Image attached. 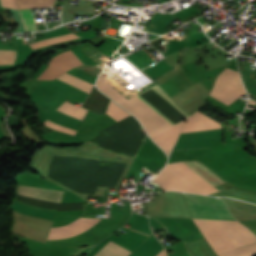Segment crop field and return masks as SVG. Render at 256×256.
I'll return each mask as SVG.
<instances>
[{"label":"crop field","mask_w":256,"mask_h":256,"mask_svg":"<svg viewBox=\"0 0 256 256\" xmlns=\"http://www.w3.org/2000/svg\"><path fill=\"white\" fill-rule=\"evenodd\" d=\"M73 38H77V36L70 34V35H66V36H61V37H56V38H52V39L39 41V42L30 44V45L32 48H36V47H40V46H44V45H48V44H52V43H57V42H61V41H65V40H69V39H73Z\"/></svg>","instance_id":"17"},{"label":"crop field","mask_w":256,"mask_h":256,"mask_svg":"<svg viewBox=\"0 0 256 256\" xmlns=\"http://www.w3.org/2000/svg\"><path fill=\"white\" fill-rule=\"evenodd\" d=\"M184 121L179 123L178 125L152 137V139L157 142L167 153L171 150L172 146L174 145L181 127Z\"/></svg>","instance_id":"10"},{"label":"crop field","mask_w":256,"mask_h":256,"mask_svg":"<svg viewBox=\"0 0 256 256\" xmlns=\"http://www.w3.org/2000/svg\"><path fill=\"white\" fill-rule=\"evenodd\" d=\"M163 249L162 245L156 240L153 234L135 249L129 256H155Z\"/></svg>","instance_id":"11"},{"label":"crop field","mask_w":256,"mask_h":256,"mask_svg":"<svg viewBox=\"0 0 256 256\" xmlns=\"http://www.w3.org/2000/svg\"><path fill=\"white\" fill-rule=\"evenodd\" d=\"M49 64L37 79H54L82 63L71 51H68L52 58Z\"/></svg>","instance_id":"6"},{"label":"crop field","mask_w":256,"mask_h":256,"mask_svg":"<svg viewBox=\"0 0 256 256\" xmlns=\"http://www.w3.org/2000/svg\"><path fill=\"white\" fill-rule=\"evenodd\" d=\"M244 93L246 92L242 87L238 72L226 68L216 78L209 95L228 105Z\"/></svg>","instance_id":"3"},{"label":"crop field","mask_w":256,"mask_h":256,"mask_svg":"<svg viewBox=\"0 0 256 256\" xmlns=\"http://www.w3.org/2000/svg\"><path fill=\"white\" fill-rule=\"evenodd\" d=\"M10 208L12 210H15V211L27 214V215H31V216H35V217H39V218H43V219H49V220H52L56 213L53 211H47V210L29 207V206L23 205V204L15 201V200L12 202Z\"/></svg>","instance_id":"12"},{"label":"crop field","mask_w":256,"mask_h":256,"mask_svg":"<svg viewBox=\"0 0 256 256\" xmlns=\"http://www.w3.org/2000/svg\"><path fill=\"white\" fill-rule=\"evenodd\" d=\"M100 77L109 83L113 88H115L119 93H121L125 98H127L131 103H133L137 108H139L143 113H145L149 118H151L155 123H157L161 128L166 130L172 127L146 104H144L140 99H138L123 84L112 77L105 69ZM100 77L97 81V87L102 92L132 112L141 121L151 137L163 131V129H161L157 124H155L151 119H149L145 114H143L139 109H137L133 104H131L127 99H125Z\"/></svg>","instance_id":"1"},{"label":"crop field","mask_w":256,"mask_h":256,"mask_svg":"<svg viewBox=\"0 0 256 256\" xmlns=\"http://www.w3.org/2000/svg\"><path fill=\"white\" fill-rule=\"evenodd\" d=\"M216 254L234 249L216 220L193 219Z\"/></svg>","instance_id":"5"},{"label":"crop field","mask_w":256,"mask_h":256,"mask_svg":"<svg viewBox=\"0 0 256 256\" xmlns=\"http://www.w3.org/2000/svg\"><path fill=\"white\" fill-rule=\"evenodd\" d=\"M164 253H165V251H164ZM164 253H163V251H161L157 256H164ZM165 256H166V253H165Z\"/></svg>","instance_id":"21"},{"label":"crop field","mask_w":256,"mask_h":256,"mask_svg":"<svg viewBox=\"0 0 256 256\" xmlns=\"http://www.w3.org/2000/svg\"><path fill=\"white\" fill-rule=\"evenodd\" d=\"M58 79L68 83V84H71L77 88H80L86 92H90L91 88H92V84L88 83V82H85L81 79H78L74 76H71L67 73L63 74L62 76H60Z\"/></svg>","instance_id":"15"},{"label":"crop field","mask_w":256,"mask_h":256,"mask_svg":"<svg viewBox=\"0 0 256 256\" xmlns=\"http://www.w3.org/2000/svg\"><path fill=\"white\" fill-rule=\"evenodd\" d=\"M165 190L207 193L217 188L185 162L166 165L155 178ZM219 192L213 191L205 195Z\"/></svg>","instance_id":"2"},{"label":"crop field","mask_w":256,"mask_h":256,"mask_svg":"<svg viewBox=\"0 0 256 256\" xmlns=\"http://www.w3.org/2000/svg\"><path fill=\"white\" fill-rule=\"evenodd\" d=\"M106 114L112 116L117 121L129 115V113L124 111L122 108L116 105L113 101H110Z\"/></svg>","instance_id":"16"},{"label":"crop field","mask_w":256,"mask_h":256,"mask_svg":"<svg viewBox=\"0 0 256 256\" xmlns=\"http://www.w3.org/2000/svg\"><path fill=\"white\" fill-rule=\"evenodd\" d=\"M91 75H94V76H98L99 72L101 71L102 69V66L98 65V66H87V65H82V66H79L77 67Z\"/></svg>","instance_id":"19"},{"label":"crop field","mask_w":256,"mask_h":256,"mask_svg":"<svg viewBox=\"0 0 256 256\" xmlns=\"http://www.w3.org/2000/svg\"><path fill=\"white\" fill-rule=\"evenodd\" d=\"M101 219L78 218L72 223L64 227L51 228L47 240L61 239L65 237L75 236L95 225Z\"/></svg>","instance_id":"7"},{"label":"crop field","mask_w":256,"mask_h":256,"mask_svg":"<svg viewBox=\"0 0 256 256\" xmlns=\"http://www.w3.org/2000/svg\"><path fill=\"white\" fill-rule=\"evenodd\" d=\"M81 49L88 57H90L97 64L105 63L109 59L106 55H104L91 44L81 47Z\"/></svg>","instance_id":"14"},{"label":"crop field","mask_w":256,"mask_h":256,"mask_svg":"<svg viewBox=\"0 0 256 256\" xmlns=\"http://www.w3.org/2000/svg\"><path fill=\"white\" fill-rule=\"evenodd\" d=\"M17 192L20 195L31 196L36 198H41L53 202L60 203L63 196V191H53L41 188H31L19 185ZM16 190L15 193L17 194Z\"/></svg>","instance_id":"9"},{"label":"crop field","mask_w":256,"mask_h":256,"mask_svg":"<svg viewBox=\"0 0 256 256\" xmlns=\"http://www.w3.org/2000/svg\"><path fill=\"white\" fill-rule=\"evenodd\" d=\"M21 14L25 21V26L28 31L37 30V27L34 23L33 16L30 9H22L20 10Z\"/></svg>","instance_id":"18"},{"label":"crop field","mask_w":256,"mask_h":256,"mask_svg":"<svg viewBox=\"0 0 256 256\" xmlns=\"http://www.w3.org/2000/svg\"><path fill=\"white\" fill-rule=\"evenodd\" d=\"M217 128H221L219 123L197 111L186 120L181 133Z\"/></svg>","instance_id":"8"},{"label":"crop field","mask_w":256,"mask_h":256,"mask_svg":"<svg viewBox=\"0 0 256 256\" xmlns=\"http://www.w3.org/2000/svg\"><path fill=\"white\" fill-rule=\"evenodd\" d=\"M1 4L4 7H10V8L17 9L15 0H1Z\"/></svg>","instance_id":"20"},{"label":"crop field","mask_w":256,"mask_h":256,"mask_svg":"<svg viewBox=\"0 0 256 256\" xmlns=\"http://www.w3.org/2000/svg\"><path fill=\"white\" fill-rule=\"evenodd\" d=\"M130 253L131 252L110 241L95 256H128Z\"/></svg>","instance_id":"13"},{"label":"crop field","mask_w":256,"mask_h":256,"mask_svg":"<svg viewBox=\"0 0 256 256\" xmlns=\"http://www.w3.org/2000/svg\"><path fill=\"white\" fill-rule=\"evenodd\" d=\"M184 194L187 199L186 193H184ZM188 195L200 196V195H193V194H188ZM192 196H188V199H189V202H190V205L193 210L195 218L225 219V220H233L234 219L229 214L223 201H221V202L224 204L229 216L232 217L233 219H231L228 216L224 206L222 205V203L220 201H218L219 199L214 200V199H208L210 197L199 198V197H192ZM200 197H206V196H200ZM188 199H187V202H188ZM189 202H188V205H189ZM190 205H189V208H190ZM191 208H190V211H191L192 217L194 218Z\"/></svg>","instance_id":"4"}]
</instances>
